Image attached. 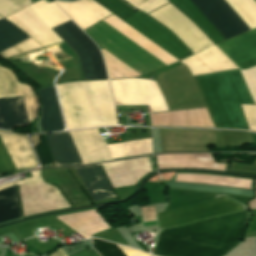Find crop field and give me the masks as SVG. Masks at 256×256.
Here are the masks:
<instances>
[{
	"label": "crop field",
	"mask_w": 256,
	"mask_h": 256,
	"mask_svg": "<svg viewBox=\"0 0 256 256\" xmlns=\"http://www.w3.org/2000/svg\"><path fill=\"white\" fill-rule=\"evenodd\" d=\"M134 7L148 13L168 1L189 18L214 44L249 30L247 25L225 2V0H126ZM167 4L150 13L172 30L194 53L213 43L174 6Z\"/></svg>",
	"instance_id": "8a807250"
},
{
	"label": "crop field",
	"mask_w": 256,
	"mask_h": 256,
	"mask_svg": "<svg viewBox=\"0 0 256 256\" xmlns=\"http://www.w3.org/2000/svg\"><path fill=\"white\" fill-rule=\"evenodd\" d=\"M249 219L247 211L163 229L159 236L229 252L241 239ZM158 237L157 256H223L226 252Z\"/></svg>",
	"instance_id": "ac0d7876"
},
{
	"label": "crop field",
	"mask_w": 256,
	"mask_h": 256,
	"mask_svg": "<svg viewBox=\"0 0 256 256\" xmlns=\"http://www.w3.org/2000/svg\"><path fill=\"white\" fill-rule=\"evenodd\" d=\"M68 130L118 125L107 81L57 85Z\"/></svg>",
	"instance_id": "34b2d1b8"
},
{
	"label": "crop field",
	"mask_w": 256,
	"mask_h": 256,
	"mask_svg": "<svg viewBox=\"0 0 256 256\" xmlns=\"http://www.w3.org/2000/svg\"><path fill=\"white\" fill-rule=\"evenodd\" d=\"M195 78L217 128L247 129L239 104L254 103L238 70Z\"/></svg>",
	"instance_id": "412701ff"
},
{
	"label": "crop field",
	"mask_w": 256,
	"mask_h": 256,
	"mask_svg": "<svg viewBox=\"0 0 256 256\" xmlns=\"http://www.w3.org/2000/svg\"><path fill=\"white\" fill-rule=\"evenodd\" d=\"M21 84L30 122L38 118V98L28 84ZM15 73L0 65V98L23 96ZM23 97L0 99V129L11 131L13 127L31 126Z\"/></svg>",
	"instance_id": "f4fd0767"
},
{
	"label": "crop field",
	"mask_w": 256,
	"mask_h": 256,
	"mask_svg": "<svg viewBox=\"0 0 256 256\" xmlns=\"http://www.w3.org/2000/svg\"><path fill=\"white\" fill-rule=\"evenodd\" d=\"M95 1L178 60L192 55L171 31L149 16L130 8L120 0Z\"/></svg>",
	"instance_id": "dd49c442"
},
{
	"label": "crop field",
	"mask_w": 256,
	"mask_h": 256,
	"mask_svg": "<svg viewBox=\"0 0 256 256\" xmlns=\"http://www.w3.org/2000/svg\"><path fill=\"white\" fill-rule=\"evenodd\" d=\"M84 164L151 152V139L106 145L97 129L70 132Z\"/></svg>",
	"instance_id": "e52e79f7"
},
{
	"label": "crop field",
	"mask_w": 256,
	"mask_h": 256,
	"mask_svg": "<svg viewBox=\"0 0 256 256\" xmlns=\"http://www.w3.org/2000/svg\"><path fill=\"white\" fill-rule=\"evenodd\" d=\"M64 25L88 49L92 57L96 78L107 79L102 56L95 44L71 21ZM64 25L52 28V30L78 55L84 79H96L87 49L65 28Z\"/></svg>",
	"instance_id": "d8731c3e"
},
{
	"label": "crop field",
	"mask_w": 256,
	"mask_h": 256,
	"mask_svg": "<svg viewBox=\"0 0 256 256\" xmlns=\"http://www.w3.org/2000/svg\"><path fill=\"white\" fill-rule=\"evenodd\" d=\"M241 209L239 203L223 197L161 212L157 214V219L159 227L162 228L201 220Z\"/></svg>",
	"instance_id": "5a996713"
},
{
	"label": "crop field",
	"mask_w": 256,
	"mask_h": 256,
	"mask_svg": "<svg viewBox=\"0 0 256 256\" xmlns=\"http://www.w3.org/2000/svg\"><path fill=\"white\" fill-rule=\"evenodd\" d=\"M18 189L23 217L70 206L56 188L44 182L19 185Z\"/></svg>",
	"instance_id": "3316defc"
},
{
	"label": "crop field",
	"mask_w": 256,
	"mask_h": 256,
	"mask_svg": "<svg viewBox=\"0 0 256 256\" xmlns=\"http://www.w3.org/2000/svg\"><path fill=\"white\" fill-rule=\"evenodd\" d=\"M0 137L17 170L35 167V158L26 136L1 133ZM0 139V175L12 171L18 173Z\"/></svg>",
	"instance_id": "28ad6ade"
},
{
	"label": "crop field",
	"mask_w": 256,
	"mask_h": 256,
	"mask_svg": "<svg viewBox=\"0 0 256 256\" xmlns=\"http://www.w3.org/2000/svg\"><path fill=\"white\" fill-rule=\"evenodd\" d=\"M112 188L133 185L151 171L147 157L101 164Z\"/></svg>",
	"instance_id": "d1516ede"
},
{
	"label": "crop field",
	"mask_w": 256,
	"mask_h": 256,
	"mask_svg": "<svg viewBox=\"0 0 256 256\" xmlns=\"http://www.w3.org/2000/svg\"><path fill=\"white\" fill-rule=\"evenodd\" d=\"M217 46L242 69L256 65V30L219 43Z\"/></svg>",
	"instance_id": "22f410ed"
},
{
	"label": "crop field",
	"mask_w": 256,
	"mask_h": 256,
	"mask_svg": "<svg viewBox=\"0 0 256 256\" xmlns=\"http://www.w3.org/2000/svg\"><path fill=\"white\" fill-rule=\"evenodd\" d=\"M152 126L214 127L205 109L150 113Z\"/></svg>",
	"instance_id": "cbeb9de0"
},
{
	"label": "crop field",
	"mask_w": 256,
	"mask_h": 256,
	"mask_svg": "<svg viewBox=\"0 0 256 256\" xmlns=\"http://www.w3.org/2000/svg\"><path fill=\"white\" fill-rule=\"evenodd\" d=\"M7 19L28 33L43 47L63 42L28 7L8 17Z\"/></svg>",
	"instance_id": "5142ce71"
},
{
	"label": "crop field",
	"mask_w": 256,
	"mask_h": 256,
	"mask_svg": "<svg viewBox=\"0 0 256 256\" xmlns=\"http://www.w3.org/2000/svg\"><path fill=\"white\" fill-rule=\"evenodd\" d=\"M182 63L188 67L193 76L237 68L216 46Z\"/></svg>",
	"instance_id": "d9b57169"
},
{
	"label": "crop field",
	"mask_w": 256,
	"mask_h": 256,
	"mask_svg": "<svg viewBox=\"0 0 256 256\" xmlns=\"http://www.w3.org/2000/svg\"><path fill=\"white\" fill-rule=\"evenodd\" d=\"M93 201L116 197L100 164L75 168Z\"/></svg>",
	"instance_id": "733c2abd"
},
{
	"label": "crop field",
	"mask_w": 256,
	"mask_h": 256,
	"mask_svg": "<svg viewBox=\"0 0 256 256\" xmlns=\"http://www.w3.org/2000/svg\"><path fill=\"white\" fill-rule=\"evenodd\" d=\"M45 136L56 166L83 165L68 132Z\"/></svg>",
	"instance_id": "4a817a6b"
},
{
	"label": "crop field",
	"mask_w": 256,
	"mask_h": 256,
	"mask_svg": "<svg viewBox=\"0 0 256 256\" xmlns=\"http://www.w3.org/2000/svg\"><path fill=\"white\" fill-rule=\"evenodd\" d=\"M38 91H39V94H40V97L42 100V119L40 122L42 131L48 132V131H52V129H53V131L63 130L64 125H63V121H62V117H61V113H60L54 86L43 89L49 116H50L52 129H51L50 121H49V116H48V112H47V108H46V104H45L43 91H42V89H40Z\"/></svg>",
	"instance_id": "bc2a9ffb"
},
{
	"label": "crop field",
	"mask_w": 256,
	"mask_h": 256,
	"mask_svg": "<svg viewBox=\"0 0 256 256\" xmlns=\"http://www.w3.org/2000/svg\"><path fill=\"white\" fill-rule=\"evenodd\" d=\"M16 185L0 191V222L20 218Z\"/></svg>",
	"instance_id": "214f88e0"
},
{
	"label": "crop field",
	"mask_w": 256,
	"mask_h": 256,
	"mask_svg": "<svg viewBox=\"0 0 256 256\" xmlns=\"http://www.w3.org/2000/svg\"><path fill=\"white\" fill-rule=\"evenodd\" d=\"M28 7L31 8L50 28L69 21L53 2L47 4L42 0L33 3Z\"/></svg>",
	"instance_id": "92a150f3"
},
{
	"label": "crop field",
	"mask_w": 256,
	"mask_h": 256,
	"mask_svg": "<svg viewBox=\"0 0 256 256\" xmlns=\"http://www.w3.org/2000/svg\"><path fill=\"white\" fill-rule=\"evenodd\" d=\"M29 38L23 31L8 21L0 20V51Z\"/></svg>",
	"instance_id": "dafd665d"
},
{
	"label": "crop field",
	"mask_w": 256,
	"mask_h": 256,
	"mask_svg": "<svg viewBox=\"0 0 256 256\" xmlns=\"http://www.w3.org/2000/svg\"><path fill=\"white\" fill-rule=\"evenodd\" d=\"M93 244L101 256H150L143 252L115 244L124 255L113 243L105 241L93 240Z\"/></svg>",
	"instance_id": "00972430"
},
{
	"label": "crop field",
	"mask_w": 256,
	"mask_h": 256,
	"mask_svg": "<svg viewBox=\"0 0 256 256\" xmlns=\"http://www.w3.org/2000/svg\"><path fill=\"white\" fill-rule=\"evenodd\" d=\"M37 48H41V46L38 43H36L34 40L29 38L13 47L1 52L0 56L6 58V57L24 53V52H27L30 50H34Z\"/></svg>",
	"instance_id": "a9b5d70f"
},
{
	"label": "crop field",
	"mask_w": 256,
	"mask_h": 256,
	"mask_svg": "<svg viewBox=\"0 0 256 256\" xmlns=\"http://www.w3.org/2000/svg\"><path fill=\"white\" fill-rule=\"evenodd\" d=\"M31 4L30 0H0V15H7Z\"/></svg>",
	"instance_id": "4177f3b9"
},
{
	"label": "crop field",
	"mask_w": 256,
	"mask_h": 256,
	"mask_svg": "<svg viewBox=\"0 0 256 256\" xmlns=\"http://www.w3.org/2000/svg\"><path fill=\"white\" fill-rule=\"evenodd\" d=\"M96 237H99L101 239H105L108 241H112L118 244H122L125 246H129L127 242L124 240V238L119 234V232L115 229L109 232H106L104 234L98 235Z\"/></svg>",
	"instance_id": "730fd06b"
},
{
	"label": "crop field",
	"mask_w": 256,
	"mask_h": 256,
	"mask_svg": "<svg viewBox=\"0 0 256 256\" xmlns=\"http://www.w3.org/2000/svg\"><path fill=\"white\" fill-rule=\"evenodd\" d=\"M144 223L156 221L154 206L142 208Z\"/></svg>",
	"instance_id": "eef30255"
},
{
	"label": "crop field",
	"mask_w": 256,
	"mask_h": 256,
	"mask_svg": "<svg viewBox=\"0 0 256 256\" xmlns=\"http://www.w3.org/2000/svg\"><path fill=\"white\" fill-rule=\"evenodd\" d=\"M92 252L95 254V256H99L94 250H92ZM92 252L91 251L88 252L87 249H85L71 256H94Z\"/></svg>",
	"instance_id": "ae1a2a85"
},
{
	"label": "crop field",
	"mask_w": 256,
	"mask_h": 256,
	"mask_svg": "<svg viewBox=\"0 0 256 256\" xmlns=\"http://www.w3.org/2000/svg\"><path fill=\"white\" fill-rule=\"evenodd\" d=\"M49 256H66V254L62 251V249H58L57 251L53 252Z\"/></svg>",
	"instance_id": "d3111659"
},
{
	"label": "crop field",
	"mask_w": 256,
	"mask_h": 256,
	"mask_svg": "<svg viewBox=\"0 0 256 256\" xmlns=\"http://www.w3.org/2000/svg\"><path fill=\"white\" fill-rule=\"evenodd\" d=\"M250 208H256V199L250 203Z\"/></svg>",
	"instance_id": "750c4746"
},
{
	"label": "crop field",
	"mask_w": 256,
	"mask_h": 256,
	"mask_svg": "<svg viewBox=\"0 0 256 256\" xmlns=\"http://www.w3.org/2000/svg\"><path fill=\"white\" fill-rule=\"evenodd\" d=\"M0 19H2V18L0 17Z\"/></svg>",
	"instance_id": "bd1437ed"
}]
</instances>
